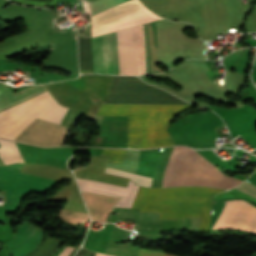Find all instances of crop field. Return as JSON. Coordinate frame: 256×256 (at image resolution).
Masks as SVG:
<instances>
[{
	"instance_id": "obj_5",
	"label": "crop field",
	"mask_w": 256,
	"mask_h": 256,
	"mask_svg": "<svg viewBox=\"0 0 256 256\" xmlns=\"http://www.w3.org/2000/svg\"><path fill=\"white\" fill-rule=\"evenodd\" d=\"M23 163L0 166V190H5L7 201L3 208L13 212L31 192L51 189L57 181L19 172Z\"/></svg>"
},
{
	"instance_id": "obj_18",
	"label": "crop field",
	"mask_w": 256,
	"mask_h": 256,
	"mask_svg": "<svg viewBox=\"0 0 256 256\" xmlns=\"http://www.w3.org/2000/svg\"><path fill=\"white\" fill-rule=\"evenodd\" d=\"M77 250H78V248H75V249L73 250V252H72L69 256H73Z\"/></svg>"
},
{
	"instance_id": "obj_7",
	"label": "crop field",
	"mask_w": 256,
	"mask_h": 256,
	"mask_svg": "<svg viewBox=\"0 0 256 256\" xmlns=\"http://www.w3.org/2000/svg\"><path fill=\"white\" fill-rule=\"evenodd\" d=\"M246 202H220L214 213L212 229L240 228L256 232V208Z\"/></svg>"
},
{
	"instance_id": "obj_9",
	"label": "crop field",
	"mask_w": 256,
	"mask_h": 256,
	"mask_svg": "<svg viewBox=\"0 0 256 256\" xmlns=\"http://www.w3.org/2000/svg\"><path fill=\"white\" fill-rule=\"evenodd\" d=\"M91 218L103 221L107 211L111 212L119 198L81 192Z\"/></svg>"
},
{
	"instance_id": "obj_8",
	"label": "crop field",
	"mask_w": 256,
	"mask_h": 256,
	"mask_svg": "<svg viewBox=\"0 0 256 256\" xmlns=\"http://www.w3.org/2000/svg\"><path fill=\"white\" fill-rule=\"evenodd\" d=\"M80 190L84 192L98 193L104 195L122 197L116 207L130 208L139 186L131 181L127 188L115 185L105 184L96 181L84 180L76 178Z\"/></svg>"
},
{
	"instance_id": "obj_4",
	"label": "crop field",
	"mask_w": 256,
	"mask_h": 256,
	"mask_svg": "<svg viewBox=\"0 0 256 256\" xmlns=\"http://www.w3.org/2000/svg\"><path fill=\"white\" fill-rule=\"evenodd\" d=\"M67 108L48 91L0 112V137L15 140L37 118L60 124Z\"/></svg>"
},
{
	"instance_id": "obj_3",
	"label": "crop field",
	"mask_w": 256,
	"mask_h": 256,
	"mask_svg": "<svg viewBox=\"0 0 256 256\" xmlns=\"http://www.w3.org/2000/svg\"><path fill=\"white\" fill-rule=\"evenodd\" d=\"M242 182L220 172L195 150L174 147L163 175L162 187L203 185L229 189Z\"/></svg>"
},
{
	"instance_id": "obj_13",
	"label": "crop field",
	"mask_w": 256,
	"mask_h": 256,
	"mask_svg": "<svg viewBox=\"0 0 256 256\" xmlns=\"http://www.w3.org/2000/svg\"><path fill=\"white\" fill-rule=\"evenodd\" d=\"M61 216L63 219L73 224H75L79 219L86 220L88 218V216L84 214H78V213H72V212H66V211H62Z\"/></svg>"
},
{
	"instance_id": "obj_11",
	"label": "crop field",
	"mask_w": 256,
	"mask_h": 256,
	"mask_svg": "<svg viewBox=\"0 0 256 256\" xmlns=\"http://www.w3.org/2000/svg\"><path fill=\"white\" fill-rule=\"evenodd\" d=\"M105 173L130 178V179H132L133 182H135L141 186H145V187H150L151 181H152V179H150V178L133 175V174L125 173V172H120V171H116V170H112V169H108V168H106Z\"/></svg>"
},
{
	"instance_id": "obj_2",
	"label": "crop field",
	"mask_w": 256,
	"mask_h": 256,
	"mask_svg": "<svg viewBox=\"0 0 256 256\" xmlns=\"http://www.w3.org/2000/svg\"><path fill=\"white\" fill-rule=\"evenodd\" d=\"M190 105L101 104L97 115H128V147L173 144L165 123Z\"/></svg>"
},
{
	"instance_id": "obj_16",
	"label": "crop field",
	"mask_w": 256,
	"mask_h": 256,
	"mask_svg": "<svg viewBox=\"0 0 256 256\" xmlns=\"http://www.w3.org/2000/svg\"><path fill=\"white\" fill-rule=\"evenodd\" d=\"M96 253L80 249L76 256H95Z\"/></svg>"
},
{
	"instance_id": "obj_1",
	"label": "crop field",
	"mask_w": 256,
	"mask_h": 256,
	"mask_svg": "<svg viewBox=\"0 0 256 256\" xmlns=\"http://www.w3.org/2000/svg\"><path fill=\"white\" fill-rule=\"evenodd\" d=\"M224 190L208 187L139 188L131 208L159 212L160 219L201 217L199 231H208L212 197Z\"/></svg>"
},
{
	"instance_id": "obj_6",
	"label": "crop field",
	"mask_w": 256,
	"mask_h": 256,
	"mask_svg": "<svg viewBox=\"0 0 256 256\" xmlns=\"http://www.w3.org/2000/svg\"><path fill=\"white\" fill-rule=\"evenodd\" d=\"M115 75H124L121 31L113 33ZM112 33L92 39L94 73L114 75Z\"/></svg>"
},
{
	"instance_id": "obj_12",
	"label": "crop field",
	"mask_w": 256,
	"mask_h": 256,
	"mask_svg": "<svg viewBox=\"0 0 256 256\" xmlns=\"http://www.w3.org/2000/svg\"><path fill=\"white\" fill-rule=\"evenodd\" d=\"M127 150L104 149L101 155L109 156L108 161L121 163Z\"/></svg>"
},
{
	"instance_id": "obj_19",
	"label": "crop field",
	"mask_w": 256,
	"mask_h": 256,
	"mask_svg": "<svg viewBox=\"0 0 256 256\" xmlns=\"http://www.w3.org/2000/svg\"><path fill=\"white\" fill-rule=\"evenodd\" d=\"M105 256H108V255H105Z\"/></svg>"
},
{
	"instance_id": "obj_15",
	"label": "crop field",
	"mask_w": 256,
	"mask_h": 256,
	"mask_svg": "<svg viewBox=\"0 0 256 256\" xmlns=\"http://www.w3.org/2000/svg\"><path fill=\"white\" fill-rule=\"evenodd\" d=\"M137 256H176V255L165 254V253L159 252V251L140 249Z\"/></svg>"
},
{
	"instance_id": "obj_17",
	"label": "crop field",
	"mask_w": 256,
	"mask_h": 256,
	"mask_svg": "<svg viewBox=\"0 0 256 256\" xmlns=\"http://www.w3.org/2000/svg\"><path fill=\"white\" fill-rule=\"evenodd\" d=\"M73 249V247L67 246L59 256H68Z\"/></svg>"
},
{
	"instance_id": "obj_14",
	"label": "crop field",
	"mask_w": 256,
	"mask_h": 256,
	"mask_svg": "<svg viewBox=\"0 0 256 256\" xmlns=\"http://www.w3.org/2000/svg\"><path fill=\"white\" fill-rule=\"evenodd\" d=\"M235 189L256 198V186L246 181L242 183L240 186L236 187Z\"/></svg>"
},
{
	"instance_id": "obj_10",
	"label": "crop field",
	"mask_w": 256,
	"mask_h": 256,
	"mask_svg": "<svg viewBox=\"0 0 256 256\" xmlns=\"http://www.w3.org/2000/svg\"><path fill=\"white\" fill-rule=\"evenodd\" d=\"M0 158L5 165L14 162H24L14 142L0 139Z\"/></svg>"
}]
</instances>
